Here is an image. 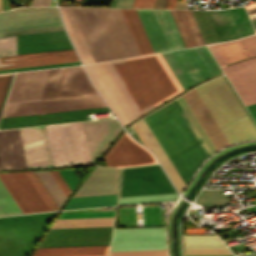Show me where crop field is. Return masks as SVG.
<instances>
[{
  "instance_id": "d8731c3e",
  "label": "crop field",
  "mask_w": 256,
  "mask_h": 256,
  "mask_svg": "<svg viewBox=\"0 0 256 256\" xmlns=\"http://www.w3.org/2000/svg\"><path fill=\"white\" fill-rule=\"evenodd\" d=\"M166 249L165 227L114 229L110 251ZM109 256H167L166 250L110 252Z\"/></svg>"
},
{
  "instance_id": "730fd06b",
  "label": "crop field",
  "mask_w": 256,
  "mask_h": 256,
  "mask_svg": "<svg viewBox=\"0 0 256 256\" xmlns=\"http://www.w3.org/2000/svg\"><path fill=\"white\" fill-rule=\"evenodd\" d=\"M132 36L141 55L153 53V49L144 31L141 21L135 9H121Z\"/></svg>"
},
{
  "instance_id": "89e229c0",
  "label": "crop field",
  "mask_w": 256,
  "mask_h": 256,
  "mask_svg": "<svg viewBox=\"0 0 256 256\" xmlns=\"http://www.w3.org/2000/svg\"><path fill=\"white\" fill-rule=\"evenodd\" d=\"M0 169H2V167H1V163H0Z\"/></svg>"
},
{
  "instance_id": "92a150f3",
  "label": "crop field",
  "mask_w": 256,
  "mask_h": 256,
  "mask_svg": "<svg viewBox=\"0 0 256 256\" xmlns=\"http://www.w3.org/2000/svg\"><path fill=\"white\" fill-rule=\"evenodd\" d=\"M119 169L97 166L74 197L116 193Z\"/></svg>"
},
{
  "instance_id": "dd49c442",
  "label": "crop field",
  "mask_w": 256,
  "mask_h": 256,
  "mask_svg": "<svg viewBox=\"0 0 256 256\" xmlns=\"http://www.w3.org/2000/svg\"><path fill=\"white\" fill-rule=\"evenodd\" d=\"M64 30L56 8H19L0 13V36Z\"/></svg>"
},
{
  "instance_id": "b54c1fbb",
  "label": "crop field",
  "mask_w": 256,
  "mask_h": 256,
  "mask_svg": "<svg viewBox=\"0 0 256 256\" xmlns=\"http://www.w3.org/2000/svg\"><path fill=\"white\" fill-rule=\"evenodd\" d=\"M51 0H34L31 6H50Z\"/></svg>"
},
{
  "instance_id": "0bd39190",
  "label": "crop field",
  "mask_w": 256,
  "mask_h": 256,
  "mask_svg": "<svg viewBox=\"0 0 256 256\" xmlns=\"http://www.w3.org/2000/svg\"><path fill=\"white\" fill-rule=\"evenodd\" d=\"M59 173L61 174V176L63 177V179L65 180V182L67 183V185L72 191L73 188L79 182L76 176L74 175V173L72 172V170L59 171Z\"/></svg>"
},
{
  "instance_id": "eef30255",
  "label": "crop field",
  "mask_w": 256,
  "mask_h": 256,
  "mask_svg": "<svg viewBox=\"0 0 256 256\" xmlns=\"http://www.w3.org/2000/svg\"><path fill=\"white\" fill-rule=\"evenodd\" d=\"M116 205V194L71 198L64 209Z\"/></svg>"
},
{
  "instance_id": "1d83c4d3",
  "label": "crop field",
  "mask_w": 256,
  "mask_h": 256,
  "mask_svg": "<svg viewBox=\"0 0 256 256\" xmlns=\"http://www.w3.org/2000/svg\"><path fill=\"white\" fill-rule=\"evenodd\" d=\"M177 197H178L177 193L135 196V197H123V198H118V204L167 201V200H175V199H177Z\"/></svg>"
},
{
  "instance_id": "73cf0c24",
  "label": "crop field",
  "mask_w": 256,
  "mask_h": 256,
  "mask_svg": "<svg viewBox=\"0 0 256 256\" xmlns=\"http://www.w3.org/2000/svg\"><path fill=\"white\" fill-rule=\"evenodd\" d=\"M210 256H234V255H210Z\"/></svg>"
},
{
  "instance_id": "c21b1889",
  "label": "crop field",
  "mask_w": 256,
  "mask_h": 256,
  "mask_svg": "<svg viewBox=\"0 0 256 256\" xmlns=\"http://www.w3.org/2000/svg\"><path fill=\"white\" fill-rule=\"evenodd\" d=\"M155 0H134L132 8H153Z\"/></svg>"
},
{
  "instance_id": "8a807250",
  "label": "crop field",
  "mask_w": 256,
  "mask_h": 256,
  "mask_svg": "<svg viewBox=\"0 0 256 256\" xmlns=\"http://www.w3.org/2000/svg\"><path fill=\"white\" fill-rule=\"evenodd\" d=\"M71 9L95 62L140 55L120 9Z\"/></svg>"
},
{
  "instance_id": "d32e631a",
  "label": "crop field",
  "mask_w": 256,
  "mask_h": 256,
  "mask_svg": "<svg viewBox=\"0 0 256 256\" xmlns=\"http://www.w3.org/2000/svg\"><path fill=\"white\" fill-rule=\"evenodd\" d=\"M54 214H55V212L31 214V215H20V216H10V217H0V223L13 222V221L36 220V219H47V218H53Z\"/></svg>"
},
{
  "instance_id": "34b2d1b8",
  "label": "crop field",
  "mask_w": 256,
  "mask_h": 256,
  "mask_svg": "<svg viewBox=\"0 0 256 256\" xmlns=\"http://www.w3.org/2000/svg\"><path fill=\"white\" fill-rule=\"evenodd\" d=\"M96 92L81 66L16 73L7 102Z\"/></svg>"
},
{
  "instance_id": "22f410ed",
  "label": "crop field",
  "mask_w": 256,
  "mask_h": 256,
  "mask_svg": "<svg viewBox=\"0 0 256 256\" xmlns=\"http://www.w3.org/2000/svg\"><path fill=\"white\" fill-rule=\"evenodd\" d=\"M0 179L22 213L48 210L24 172L2 173Z\"/></svg>"
},
{
  "instance_id": "5d738f31",
  "label": "crop field",
  "mask_w": 256,
  "mask_h": 256,
  "mask_svg": "<svg viewBox=\"0 0 256 256\" xmlns=\"http://www.w3.org/2000/svg\"><path fill=\"white\" fill-rule=\"evenodd\" d=\"M247 109L249 110L250 114L252 115V117L256 121V104L251 105V106H247Z\"/></svg>"
},
{
  "instance_id": "412701ff",
  "label": "crop field",
  "mask_w": 256,
  "mask_h": 256,
  "mask_svg": "<svg viewBox=\"0 0 256 256\" xmlns=\"http://www.w3.org/2000/svg\"><path fill=\"white\" fill-rule=\"evenodd\" d=\"M4 64L77 56L65 31L2 37ZM79 61L77 57L4 65V69Z\"/></svg>"
},
{
  "instance_id": "e52e79f7",
  "label": "crop field",
  "mask_w": 256,
  "mask_h": 256,
  "mask_svg": "<svg viewBox=\"0 0 256 256\" xmlns=\"http://www.w3.org/2000/svg\"><path fill=\"white\" fill-rule=\"evenodd\" d=\"M184 88L221 70L205 46L161 53Z\"/></svg>"
},
{
  "instance_id": "750c4746",
  "label": "crop field",
  "mask_w": 256,
  "mask_h": 256,
  "mask_svg": "<svg viewBox=\"0 0 256 256\" xmlns=\"http://www.w3.org/2000/svg\"><path fill=\"white\" fill-rule=\"evenodd\" d=\"M36 174L60 208L66 197L49 173V171L36 172Z\"/></svg>"
},
{
  "instance_id": "d23c7cc5",
  "label": "crop field",
  "mask_w": 256,
  "mask_h": 256,
  "mask_svg": "<svg viewBox=\"0 0 256 256\" xmlns=\"http://www.w3.org/2000/svg\"><path fill=\"white\" fill-rule=\"evenodd\" d=\"M133 129L135 130V132L137 133V135L140 137V139L142 140V142L144 143L145 146H148V143L146 142V140L144 139V137L142 136V134L139 132V130L137 129V127L135 126V124L132 126Z\"/></svg>"
},
{
  "instance_id": "5142ce71",
  "label": "crop field",
  "mask_w": 256,
  "mask_h": 256,
  "mask_svg": "<svg viewBox=\"0 0 256 256\" xmlns=\"http://www.w3.org/2000/svg\"><path fill=\"white\" fill-rule=\"evenodd\" d=\"M19 131L27 168L53 166L44 126Z\"/></svg>"
},
{
  "instance_id": "28ad6ade",
  "label": "crop field",
  "mask_w": 256,
  "mask_h": 256,
  "mask_svg": "<svg viewBox=\"0 0 256 256\" xmlns=\"http://www.w3.org/2000/svg\"><path fill=\"white\" fill-rule=\"evenodd\" d=\"M136 10L155 52L185 47L169 10Z\"/></svg>"
},
{
  "instance_id": "cbeb9de0",
  "label": "crop field",
  "mask_w": 256,
  "mask_h": 256,
  "mask_svg": "<svg viewBox=\"0 0 256 256\" xmlns=\"http://www.w3.org/2000/svg\"><path fill=\"white\" fill-rule=\"evenodd\" d=\"M207 12L221 41L254 33L243 7Z\"/></svg>"
},
{
  "instance_id": "03da06ac",
  "label": "crop field",
  "mask_w": 256,
  "mask_h": 256,
  "mask_svg": "<svg viewBox=\"0 0 256 256\" xmlns=\"http://www.w3.org/2000/svg\"><path fill=\"white\" fill-rule=\"evenodd\" d=\"M133 0H114L111 7L131 8Z\"/></svg>"
},
{
  "instance_id": "a9b5d70f",
  "label": "crop field",
  "mask_w": 256,
  "mask_h": 256,
  "mask_svg": "<svg viewBox=\"0 0 256 256\" xmlns=\"http://www.w3.org/2000/svg\"><path fill=\"white\" fill-rule=\"evenodd\" d=\"M186 47L205 44L190 10H170Z\"/></svg>"
},
{
  "instance_id": "4177f3b9",
  "label": "crop field",
  "mask_w": 256,
  "mask_h": 256,
  "mask_svg": "<svg viewBox=\"0 0 256 256\" xmlns=\"http://www.w3.org/2000/svg\"><path fill=\"white\" fill-rule=\"evenodd\" d=\"M109 246L37 248L33 256L108 255Z\"/></svg>"
},
{
  "instance_id": "425ffa30",
  "label": "crop field",
  "mask_w": 256,
  "mask_h": 256,
  "mask_svg": "<svg viewBox=\"0 0 256 256\" xmlns=\"http://www.w3.org/2000/svg\"><path fill=\"white\" fill-rule=\"evenodd\" d=\"M166 0H156L154 8H164Z\"/></svg>"
},
{
  "instance_id": "120bbe31",
  "label": "crop field",
  "mask_w": 256,
  "mask_h": 256,
  "mask_svg": "<svg viewBox=\"0 0 256 256\" xmlns=\"http://www.w3.org/2000/svg\"><path fill=\"white\" fill-rule=\"evenodd\" d=\"M21 213L9 193L0 182V215Z\"/></svg>"
},
{
  "instance_id": "c035e120",
  "label": "crop field",
  "mask_w": 256,
  "mask_h": 256,
  "mask_svg": "<svg viewBox=\"0 0 256 256\" xmlns=\"http://www.w3.org/2000/svg\"><path fill=\"white\" fill-rule=\"evenodd\" d=\"M10 74L11 73L0 74V107H1V103L3 100L4 94H5V90H6L8 81H9Z\"/></svg>"
},
{
  "instance_id": "d3111659",
  "label": "crop field",
  "mask_w": 256,
  "mask_h": 256,
  "mask_svg": "<svg viewBox=\"0 0 256 256\" xmlns=\"http://www.w3.org/2000/svg\"><path fill=\"white\" fill-rule=\"evenodd\" d=\"M229 199L221 189L202 190L194 203L206 207L229 203Z\"/></svg>"
},
{
  "instance_id": "214f88e0",
  "label": "crop field",
  "mask_w": 256,
  "mask_h": 256,
  "mask_svg": "<svg viewBox=\"0 0 256 256\" xmlns=\"http://www.w3.org/2000/svg\"><path fill=\"white\" fill-rule=\"evenodd\" d=\"M207 46L214 54L219 65H223L256 55V35L237 41L211 44Z\"/></svg>"
},
{
  "instance_id": "3316defc",
  "label": "crop field",
  "mask_w": 256,
  "mask_h": 256,
  "mask_svg": "<svg viewBox=\"0 0 256 256\" xmlns=\"http://www.w3.org/2000/svg\"><path fill=\"white\" fill-rule=\"evenodd\" d=\"M50 221L0 224V256H27Z\"/></svg>"
},
{
  "instance_id": "d1516ede",
  "label": "crop field",
  "mask_w": 256,
  "mask_h": 256,
  "mask_svg": "<svg viewBox=\"0 0 256 256\" xmlns=\"http://www.w3.org/2000/svg\"><path fill=\"white\" fill-rule=\"evenodd\" d=\"M112 227L50 229L39 247L109 245Z\"/></svg>"
},
{
  "instance_id": "bd1437ed",
  "label": "crop field",
  "mask_w": 256,
  "mask_h": 256,
  "mask_svg": "<svg viewBox=\"0 0 256 256\" xmlns=\"http://www.w3.org/2000/svg\"><path fill=\"white\" fill-rule=\"evenodd\" d=\"M177 101L180 103V105L184 109L185 113L187 114L188 118L190 119V121L192 122L194 127L196 128L197 132L201 136L202 140L204 141V143L208 147V149L211 152V154L214 153L215 151H217L216 148L214 147V145L212 144V142L210 141L209 137L207 136V134L205 133V131L201 127L199 121L197 120V118L193 114L192 110L190 109V107L186 103V101L183 98V96L177 98Z\"/></svg>"
},
{
  "instance_id": "1f2cbd36",
  "label": "crop field",
  "mask_w": 256,
  "mask_h": 256,
  "mask_svg": "<svg viewBox=\"0 0 256 256\" xmlns=\"http://www.w3.org/2000/svg\"><path fill=\"white\" fill-rule=\"evenodd\" d=\"M0 11H1V7H0Z\"/></svg>"
},
{
  "instance_id": "e1f06a70",
  "label": "crop field",
  "mask_w": 256,
  "mask_h": 256,
  "mask_svg": "<svg viewBox=\"0 0 256 256\" xmlns=\"http://www.w3.org/2000/svg\"><path fill=\"white\" fill-rule=\"evenodd\" d=\"M174 104L176 105V107L178 108V110L180 111L181 115L183 116V118L185 119V121L187 122V124L189 125L190 129L192 130L193 134L195 135V137L197 138V140L199 141L200 145L202 146V148L204 149L205 153L208 155H210V152L208 151L207 147L205 146V144L203 143V141L201 140V138L199 137L198 133L196 132V130L194 129V127L192 126L191 122L189 121V119L187 118V116L185 115V113L183 112L182 108L180 107V105L178 104V102L176 101V99L173 101Z\"/></svg>"
},
{
  "instance_id": "b80d0937",
  "label": "crop field",
  "mask_w": 256,
  "mask_h": 256,
  "mask_svg": "<svg viewBox=\"0 0 256 256\" xmlns=\"http://www.w3.org/2000/svg\"><path fill=\"white\" fill-rule=\"evenodd\" d=\"M50 173L52 174V176L54 177V179L56 180V182L58 183V185L67 197L71 191L62 179V177L60 176V174L58 173V171H50Z\"/></svg>"
},
{
  "instance_id": "733c2abd",
  "label": "crop field",
  "mask_w": 256,
  "mask_h": 256,
  "mask_svg": "<svg viewBox=\"0 0 256 256\" xmlns=\"http://www.w3.org/2000/svg\"><path fill=\"white\" fill-rule=\"evenodd\" d=\"M104 160L107 166L113 167L138 166L157 163L149 151L138 145L126 133L117 142Z\"/></svg>"
},
{
  "instance_id": "bc2a9ffb",
  "label": "crop field",
  "mask_w": 256,
  "mask_h": 256,
  "mask_svg": "<svg viewBox=\"0 0 256 256\" xmlns=\"http://www.w3.org/2000/svg\"><path fill=\"white\" fill-rule=\"evenodd\" d=\"M105 111L103 107L76 111L6 117L1 119L0 129L30 125L89 120L87 113Z\"/></svg>"
},
{
  "instance_id": "ae1a2a85",
  "label": "crop field",
  "mask_w": 256,
  "mask_h": 256,
  "mask_svg": "<svg viewBox=\"0 0 256 256\" xmlns=\"http://www.w3.org/2000/svg\"><path fill=\"white\" fill-rule=\"evenodd\" d=\"M185 248H226L216 235H183Z\"/></svg>"
},
{
  "instance_id": "d9b57169",
  "label": "crop field",
  "mask_w": 256,
  "mask_h": 256,
  "mask_svg": "<svg viewBox=\"0 0 256 256\" xmlns=\"http://www.w3.org/2000/svg\"><path fill=\"white\" fill-rule=\"evenodd\" d=\"M245 106L256 103V57L222 67Z\"/></svg>"
},
{
  "instance_id": "25e5ab78",
  "label": "crop field",
  "mask_w": 256,
  "mask_h": 256,
  "mask_svg": "<svg viewBox=\"0 0 256 256\" xmlns=\"http://www.w3.org/2000/svg\"><path fill=\"white\" fill-rule=\"evenodd\" d=\"M247 11H248L249 14H250V13H254V12H256V7H255V8H252V9H248Z\"/></svg>"
},
{
  "instance_id": "5a996713",
  "label": "crop field",
  "mask_w": 256,
  "mask_h": 256,
  "mask_svg": "<svg viewBox=\"0 0 256 256\" xmlns=\"http://www.w3.org/2000/svg\"><path fill=\"white\" fill-rule=\"evenodd\" d=\"M175 192L158 164L121 168L118 197Z\"/></svg>"
},
{
  "instance_id": "ac0d7876",
  "label": "crop field",
  "mask_w": 256,
  "mask_h": 256,
  "mask_svg": "<svg viewBox=\"0 0 256 256\" xmlns=\"http://www.w3.org/2000/svg\"><path fill=\"white\" fill-rule=\"evenodd\" d=\"M143 119L187 185L207 156L173 102Z\"/></svg>"
},
{
  "instance_id": "028f5c9d",
  "label": "crop field",
  "mask_w": 256,
  "mask_h": 256,
  "mask_svg": "<svg viewBox=\"0 0 256 256\" xmlns=\"http://www.w3.org/2000/svg\"><path fill=\"white\" fill-rule=\"evenodd\" d=\"M186 255L232 254L228 249H185Z\"/></svg>"
},
{
  "instance_id": "f4fd0767",
  "label": "crop field",
  "mask_w": 256,
  "mask_h": 256,
  "mask_svg": "<svg viewBox=\"0 0 256 256\" xmlns=\"http://www.w3.org/2000/svg\"><path fill=\"white\" fill-rule=\"evenodd\" d=\"M127 61L155 105L183 90L160 53L128 58Z\"/></svg>"
},
{
  "instance_id": "00972430",
  "label": "crop field",
  "mask_w": 256,
  "mask_h": 256,
  "mask_svg": "<svg viewBox=\"0 0 256 256\" xmlns=\"http://www.w3.org/2000/svg\"><path fill=\"white\" fill-rule=\"evenodd\" d=\"M0 159L3 169L26 168L19 131H0Z\"/></svg>"
},
{
  "instance_id": "5866460e",
  "label": "crop field",
  "mask_w": 256,
  "mask_h": 256,
  "mask_svg": "<svg viewBox=\"0 0 256 256\" xmlns=\"http://www.w3.org/2000/svg\"><path fill=\"white\" fill-rule=\"evenodd\" d=\"M115 212L60 214L58 219L114 217Z\"/></svg>"
},
{
  "instance_id": "dafd665d",
  "label": "crop field",
  "mask_w": 256,
  "mask_h": 256,
  "mask_svg": "<svg viewBox=\"0 0 256 256\" xmlns=\"http://www.w3.org/2000/svg\"><path fill=\"white\" fill-rule=\"evenodd\" d=\"M183 96L193 112L198 117L201 125L207 132L217 150L230 145L195 89L191 90Z\"/></svg>"
},
{
  "instance_id": "4a817a6b",
  "label": "crop field",
  "mask_w": 256,
  "mask_h": 256,
  "mask_svg": "<svg viewBox=\"0 0 256 256\" xmlns=\"http://www.w3.org/2000/svg\"><path fill=\"white\" fill-rule=\"evenodd\" d=\"M90 162L93 163L122 127L116 119L82 122Z\"/></svg>"
}]
</instances>
